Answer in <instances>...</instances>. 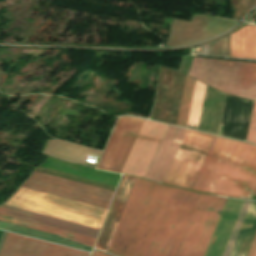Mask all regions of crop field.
I'll return each instance as SVG.
<instances>
[{
  "label": "crop field",
  "instance_id": "21",
  "mask_svg": "<svg viewBox=\"0 0 256 256\" xmlns=\"http://www.w3.org/2000/svg\"><path fill=\"white\" fill-rule=\"evenodd\" d=\"M230 34L209 44V55L229 57Z\"/></svg>",
  "mask_w": 256,
  "mask_h": 256
},
{
  "label": "crop field",
  "instance_id": "19",
  "mask_svg": "<svg viewBox=\"0 0 256 256\" xmlns=\"http://www.w3.org/2000/svg\"><path fill=\"white\" fill-rule=\"evenodd\" d=\"M194 83H195V80H193L189 77H186L183 94H182V98H181V103H180V107H179L178 117H177V121H176L177 124L186 126V121H187V116H188V112H189Z\"/></svg>",
  "mask_w": 256,
  "mask_h": 256
},
{
  "label": "crop field",
  "instance_id": "25",
  "mask_svg": "<svg viewBox=\"0 0 256 256\" xmlns=\"http://www.w3.org/2000/svg\"><path fill=\"white\" fill-rule=\"evenodd\" d=\"M92 256H109V255L103 254L95 250Z\"/></svg>",
  "mask_w": 256,
  "mask_h": 256
},
{
  "label": "crop field",
  "instance_id": "6",
  "mask_svg": "<svg viewBox=\"0 0 256 256\" xmlns=\"http://www.w3.org/2000/svg\"><path fill=\"white\" fill-rule=\"evenodd\" d=\"M214 137L188 130L163 182L190 189Z\"/></svg>",
  "mask_w": 256,
  "mask_h": 256
},
{
  "label": "crop field",
  "instance_id": "27",
  "mask_svg": "<svg viewBox=\"0 0 256 256\" xmlns=\"http://www.w3.org/2000/svg\"><path fill=\"white\" fill-rule=\"evenodd\" d=\"M222 129H223V127L221 126L219 135H221V133H222Z\"/></svg>",
  "mask_w": 256,
  "mask_h": 256
},
{
  "label": "crop field",
  "instance_id": "28",
  "mask_svg": "<svg viewBox=\"0 0 256 256\" xmlns=\"http://www.w3.org/2000/svg\"><path fill=\"white\" fill-rule=\"evenodd\" d=\"M254 195H256V192H255V194Z\"/></svg>",
  "mask_w": 256,
  "mask_h": 256
},
{
  "label": "crop field",
  "instance_id": "8",
  "mask_svg": "<svg viewBox=\"0 0 256 256\" xmlns=\"http://www.w3.org/2000/svg\"><path fill=\"white\" fill-rule=\"evenodd\" d=\"M144 121L134 117H120L97 167L120 172Z\"/></svg>",
  "mask_w": 256,
  "mask_h": 256
},
{
  "label": "crop field",
  "instance_id": "4",
  "mask_svg": "<svg viewBox=\"0 0 256 256\" xmlns=\"http://www.w3.org/2000/svg\"><path fill=\"white\" fill-rule=\"evenodd\" d=\"M4 205L99 229L108 211L22 187Z\"/></svg>",
  "mask_w": 256,
  "mask_h": 256
},
{
  "label": "crop field",
  "instance_id": "3",
  "mask_svg": "<svg viewBox=\"0 0 256 256\" xmlns=\"http://www.w3.org/2000/svg\"><path fill=\"white\" fill-rule=\"evenodd\" d=\"M188 75L223 93L256 101V63L194 57Z\"/></svg>",
  "mask_w": 256,
  "mask_h": 256
},
{
  "label": "crop field",
  "instance_id": "14",
  "mask_svg": "<svg viewBox=\"0 0 256 256\" xmlns=\"http://www.w3.org/2000/svg\"><path fill=\"white\" fill-rule=\"evenodd\" d=\"M134 179L135 178L133 177L123 176L108 217L102 227L99 238L95 245L96 248L106 252Z\"/></svg>",
  "mask_w": 256,
  "mask_h": 256
},
{
  "label": "crop field",
  "instance_id": "11",
  "mask_svg": "<svg viewBox=\"0 0 256 256\" xmlns=\"http://www.w3.org/2000/svg\"><path fill=\"white\" fill-rule=\"evenodd\" d=\"M53 244V243H52ZM7 233L0 256H89L90 253Z\"/></svg>",
  "mask_w": 256,
  "mask_h": 256
},
{
  "label": "crop field",
  "instance_id": "17",
  "mask_svg": "<svg viewBox=\"0 0 256 256\" xmlns=\"http://www.w3.org/2000/svg\"><path fill=\"white\" fill-rule=\"evenodd\" d=\"M0 220L2 221H6L9 223H13V224H17V225H21L24 227H28V228H32V229H36V230H40L43 232H47V233H51V234H55L88 246H93L94 242H95V238H91V237H87V236H83V235H79V234H75V233H71V232H67V231H63V230H59V229H55V228H51V227H47L44 225H40V224H36V223H32V222H28V221H24V220H20V219H16V218H12V217H8V216H4V215H0Z\"/></svg>",
  "mask_w": 256,
  "mask_h": 256
},
{
  "label": "crop field",
  "instance_id": "16",
  "mask_svg": "<svg viewBox=\"0 0 256 256\" xmlns=\"http://www.w3.org/2000/svg\"><path fill=\"white\" fill-rule=\"evenodd\" d=\"M230 57L256 59V26L247 24L231 33Z\"/></svg>",
  "mask_w": 256,
  "mask_h": 256
},
{
  "label": "crop field",
  "instance_id": "15",
  "mask_svg": "<svg viewBox=\"0 0 256 256\" xmlns=\"http://www.w3.org/2000/svg\"><path fill=\"white\" fill-rule=\"evenodd\" d=\"M0 213L18 217V218L25 219V220H29V221H33V222H37V223H41L44 225L68 230L71 232L95 237V238L97 237V235L100 231L99 229H95V228H91V227H87V226L51 218L48 216L20 210V209H16V208L4 206V205L0 206Z\"/></svg>",
  "mask_w": 256,
  "mask_h": 256
},
{
  "label": "crop field",
  "instance_id": "22",
  "mask_svg": "<svg viewBox=\"0 0 256 256\" xmlns=\"http://www.w3.org/2000/svg\"><path fill=\"white\" fill-rule=\"evenodd\" d=\"M246 141L256 143V102L254 104L251 122Z\"/></svg>",
  "mask_w": 256,
  "mask_h": 256
},
{
  "label": "crop field",
  "instance_id": "5",
  "mask_svg": "<svg viewBox=\"0 0 256 256\" xmlns=\"http://www.w3.org/2000/svg\"><path fill=\"white\" fill-rule=\"evenodd\" d=\"M226 198L200 194L176 256H203Z\"/></svg>",
  "mask_w": 256,
  "mask_h": 256
},
{
  "label": "crop field",
  "instance_id": "18",
  "mask_svg": "<svg viewBox=\"0 0 256 256\" xmlns=\"http://www.w3.org/2000/svg\"><path fill=\"white\" fill-rule=\"evenodd\" d=\"M0 229L15 232V233H19V234H23V235H26V236L42 239V240H45V241H49V242H53V243H57V244H61V245L69 246V247H73V248H77V249H80V250H82V248H84V251H88V252L91 251V248H88V247H85V246H82V245H79V244H76V243L58 238L55 235H51V234H47V233H43V232H39V231L27 229V228H23V227H20V226H16V225L4 223V222H0Z\"/></svg>",
  "mask_w": 256,
  "mask_h": 256
},
{
  "label": "crop field",
  "instance_id": "12",
  "mask_svg": "<svg viewBox=\"0 0 256 256\" xmlns=\"http://www.w3.org/2000/svg\"><path fill=\"white\" fill-rule=\"evenodd\" d=\"M186 131V129L168 126L144 176L145 178L163 181Z\"/></svg>",
  "mask_w": 256,
  "mask_h": 256
},
{
  "label": "crop field",
  "instance_id": "13",
  "mask_svg": "<svg viewBox=\"0 0 256 256\" xmlns=\"http://www.w3.org/2000/svg\"><path fill=\"white\" fill-rule=\"evenodd\" d=\"M250 202L245 201L223 256H229ZM256 232V202H251L230 256H246Z\"/></svg>",
  "mask_w": 256,
  "mask_h": 256
},
{
  "label": "crop field",
  "instance_id": "20",
  "mask_svg": "<svg viewBox=\"0 0 256 256\" xmlns=\"http://www.w3.org/2000/svg\"><path fill=\"white\" fill-rule=\"evenodd\" d=\"M205 88H206L205 85L196 81L193 98H192V103H191L189 119H188V124H192V125H196V126L198 124Z\"/></svg>",
  "mask_w": 256,
  "mask_h": 256
},
{
  "label": "crop field",
  "instance_id": "26",
  "mask_svg": "<svg viewBox=\"0 0 256 256\" xmlns=\"http://www.w3.org/2000/svg\"><path fill=\"white\" fill-rule=\"evenodd\" d=\"M6 233L7 232L4 231L2 236H1V238H0V246H1L2 242H3V239H4L5 235H6Z\"/></svg>",
  "mask_w": 256,
  "mask_h": 256
},
{
  "label": "crop field",
  "instance_id": "2",
  "mask_svg": "<svg viewBox=\"0 0 256 256\" xmlns=\"http://www.w3.org/2000/svg\"><path fill=\"white\" fill-rule=\"evenodd\" d=\"M191 189L251 199L256 190V146L216 136Z\"/></svg>",
  "mask_w": 256,
  "mask_h": 256
},
{
  "label": "crop field",
  "instance_id": "1",
  "mask_svg": "<svg viewBox=\"0 0 256 256\" xmlns=\"http://www.w3.org/2000/svg\"><path fill=\"white\" fill-rule=\"evenodd\" d=\"M198 195L136 178L108 252L175 256Z\"/></svg>",
  "mask_w": 256,
  "mask_h": 256
},
{
  "label": "crop field",
  "instance_id": "24",
  "mask_svg": "<svg viewBox=\"0 0 256 256\" xmlns=\"http://www.w3.org/2000/svg\"><path fill=\"white\" fill-rule=\"evenodd\" d=\"M247 5L250 12L256 6V0H247Z\"/></svg>",
  "mask_w": 256,
  "mask_h": 256
},
{
  "label": "crop field",
  "instance_id": "9",
  "mask_svg": "<svg viewBox=\"0 0 256 256\" xmlns=\"http://www.w3.org/2000/svg\"><path fill=\"white\" fill-rule=\"evenodd\" d=\"M167 126L146 120L121 172L143 177Z\"/></svg>",
  "mask_w": 256,
  "mask_h": 256
},
{
  "label": "crop field",
  "instance_id": "23",
  "mask_svg": "<svg viewBox=\"0 0 256 256\" xmlns=\"http://www.w3.org/2000/svg\"><path fill=\"white\" fill-rule=\"evenodd\" d=\"M247 256H256V235Z\"/></svg>",
  "mask_w": 256,
  "mask_h": 256
},
{
  "label": "crop field",
  "instance_id": "10",
  "mask_svg": "<svg viewBox=\"0 0 256 256\" xmlns=\"http://www.w3.org/2000/svg\"><path fill=\"white\" fill-rule=\"evenodd\" d=\"M194 16H206L205 17H193L191 23L174 20L172 23L168 42L165 45L169 46H183L192 43H197L212 37H215L227 29L231 28L237 22L217 19L207 15H194ZM205 18V21H204ZM204 21V24H203ZM203 24V27H202ZM202 27V30H201ZM200 30L209 36L200 32ZM228 31V30H227ZM207 36V37H204ZM204 37V38H200ZM200 38V39H197ZM197 39V41L195 40Z\"/></svg>",
  "mask_w": 256,
  "mask_h": 256
},
{
  "label": "crop field",
  "instance_id": "7",
  "mask_svg": "<svg viewBox=\"0 0 256 256\" xmlns=\"http://www.w3.org/2000/svg\"><path fill=\"white\" fill-rule=\"evenodd\" d=\"M22 187L42 191L45 193L65 197L87 204L109 208L112 191L40 174L34 172Z\"/></svg>",
  "mask_w": 256,
  "mask_h": 256
}]
</instances>
